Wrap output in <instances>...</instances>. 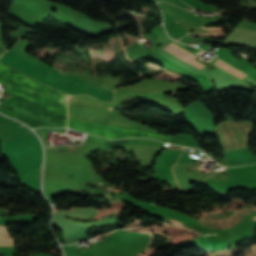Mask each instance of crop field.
Instances as JSON below:
<instances>
[{"label":"crop field","instance_id":"obj_1","mask_svg":"<svg viewBox=\"0 0 256 256\" xmlns=\"http://www.w3.org/2000/svg\"><path fill=\"white\" fill-rule=\"evenodd\" d=\"M0 65L63 96L89 94L95 99L113 100L112 92L60 74L44 62L13 47L0 58Z\"/></svg>","mask_w":256,"mask_h":256},{"label":"crop field","instance_id":"obj_2","mask_svg":"<svg viewBox=\"0 0 256 256\" xmlns=\"http://www.w3.org/2000/svg\"><path fill=\"white\" fill-rule=\"evenodd\" d=\"M4 151L20 175L41 165V146L32 132H26L11 141L4 142Z\"/></svg>","mask_w":256,"mask_h":256},{"label":"crop field","instance_id":"obj_3","mask_svg":"<svg viewBox=\"0 0 256 256\" xmlns=\"http://www.w3.org/2000/svg\"><path fill=\"white\" fill-rule=\"evenodd\" d=\"M249 121L234 123L231 120L218 125L217 131L224 149H241L248 145L249 134L253 129Z\"/></svg>","mask_w":256,"mask_h":256},{"label":"crop field","instance_id":"obj_4","mask_svg":"<svg viewBox=\"0 0 256 256\" xmlns=\"http://www.w3.org/2000/svg\"><path fill=\"white\" fill-rule=\"evenodd\" d=\"M164 50L172 53L173 55L181 58L182 60L190 63L191 65H193L199 69L204 66V65L193 60L194 58H196V56L188 53L187 51L183 50L182 48L178 47L177 45H175L173 43L171 45H169L167 48H165Z\"/></svg>","mask_w":256,"mask_h":256},{"label":"crop field","instance_id":"obj_5","mask_svg":"<svg viewBox=\"0 0 256 256\" xmlns=\"http://www.w3.org/2000/svg\"><path fill=\"white\" fill-rule=\"evenodd\" d=\"M40 167L26 174V187L39 193Z\"/></svg>","mask_w":256,"mask_h":256},{"label":"crop field","instance_id":"obj_6","mask_svg":"<svg viewBox=\"0 0 256 256\" xmlns=\"http://www.w3.org/2000/svg\"><path fill=\"white\" fill-rule=\"evenodd\" d=\"M6 226L0 225V247L14 248V241H12Z\"/></svg>","mask_w":256,"mask_h":256},{"label":"crop field","instance_id":"obj_7","mask_svg":"<svg viewBox=\"0 0 256 256\" xmlns=\"http://www.w3.org/2000/svg\"><path fill=\"white\" fill-rule=\"evenodd\" d=\"M215 63H216V62H215ZM215 63H214V64H215ZM216 65L222 67L223 69L229 71L230 73L234 74L235 76H237V77H239V78H241V79H243L244 77H246V75H244V74H242V73H240V72L234 70L235 68L233 69V68L229 67L228 65L224 64V63H223L222 61H220V60L216 63Z\"/></svg>","mask_w":256,"mask_h":256},{"label":"crop field","instance_id":"obj_8","mask_svg":"<svg viewBox=\"0 0 256 256\" xmlns=\"http://www.w3.org/2000/svg\"><path fill=\"white\" fill-rule=\"evenodd\" d=\"M47 130H52V131H56V132H60V133H64L65 130H53V129H47Z\"/></svg>","mask_w":256,"mask_h":256}]
</instances>
